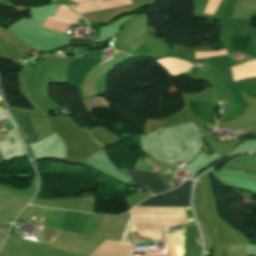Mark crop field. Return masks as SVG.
<instances>
[{"label": "crop field", "instance_id": "crop-field-1", "mask_svg": "<svg viewBox=\"0 0 256 256\" xmlns=\"http://www.w3.org/2000/svg\"><path fill=\"white\" fill-rule=\"evenodd\" d=\"M130 212L138 233L150 240H163L166 226L188 223L186 208L135 207Z\"/></svg>", "mask_w": 256, "mask_h": 256}, {"label": "crop field", "instance_id": "crop-field-2", "mask_svg": "<svg viewBox=\"0 0 256 256\" xmlns=\"http://www.w3.org/2000/svg\"><path fill=\"white\" fill-rule=\"evenodd\" d=\"M192 181H186L177 189L153 196L137 206H179L190 207L189 195Z\"/></svg>", "mask_w": 256, "mask_h": 256}, {"label": "crop field", "instance_id": "crop-field-3", "mask_svg": "<svg viewBox=\"0 0 256 256\" xmlns=\"http://www.w3.org/2000/svg\"><path fill=\"white\" fill-rule=\"evenodd\" d=\"M79 17L68 7L60 5L52 18L47 17L42 27L65 33L70 23L76 24Z\"/></svg>", "mask_w": 256, "mask_h": 256}, {"label": "crop field", "instance_id": "crop-field-4", "mask_svg": "<svg viewBox=\"0 0 256 256\" xmlns=\"http://www.w3.org/2000/svg\"><path fill=\"white\" fill-rule=\"evenodd\" d=\"M128 176L133 181L134 185L144 187L150 190L152 193L157 194L160 192L167 191L157 174H149L137 171H126ZM149 191V192H150Z\"/></svg>", "mask_w": 256, "mask_h": 256}, {"label": "crop field", "instance_id": "crop-field-5", "mask_svg": "<svg viewBox=\"0 0 256 256\" xmlns=\"http://www.w3.org/2000/svg\"><path fill=\"white\" fill-rule=\"evenodd\" d=\"M209 74H211L215 79H217L225 88L227 93L229 94L234 107L231 115H238L241 116L244 112V102L241 99L240 95V89H238L236 86L232 85L231 82L225 78L221 73L217 72L215 69L212 67L205 70Z\"/></svg>", "mask_w": 256, "mask_h": 256}, {"label": "crop field", "instance_id": "crop-field-6", "mask_svg": "<svg viewBox=\"0 0 256 256\" xmlns=\"http://www.w3.org/2000/svg\"><path fill=\"white\" fill-rule=\"evenodd\" d=\"M132 244L105 240L89 256H130Z\"/></svg>", "mask_w": 256, "mask_h": 256}, {"label": "crop field", "instance_id": "crop-field-7", "mask_svg": "<svg viewBox=\"0 0 256 256\" xmlns=\"http://www.w3.org/2000/svg\"><path fill=\"white\" fill-rule=\"evenodd\" d=\"M191 111V113L195 116V118L198 121H204L206 123L212 125L213 120V126H216L217 121L214 115L215 106L219 105V102H211V108H212V120H211V108H210V102H206L207 105V113H208V121H207V113H206V105L205 102H195V103H186Z\"/></svg>", "mask_w": 256, "mask_h": 256}, {"label": "crop field", "instance_id": "crop-field-8", "mask_svg": "<svg viewBox=\"0 0 256 256\" xmlns=\"http://www.w3.org/2000/svg\"><path fill=\"white\" fill-rule=\"evenodd\" d=\"M95 62L91 59H81L72 61L67 72V81L76 86L80 82L82 76L90 68V66Z\"/></svg>", "mask_w": 256, "mask_h": 256}, {"label": "crop field", "instance_id": "crop-field-9", "mask_svg": "<svg viewBox=\"0 0 256 256\" xmlns=\"http://www.w3.org/2000/svg\"><path fill=\"white\" fill-rule=\"evenodd\" d=\"M232 48L253 55L250 29L233 28Z\"/></svg>", "mask_w": 256, "mask_h": 256}, {"label": "crop field", "instance_id": "crop-field-10", "mask_svg": "<svg viewBox=\"0 0 256 256\" xmlns=\"http://www.w3.org/2000/svg\"><path fill=\"white\" fill-rule=\"evenodd\" d=\"M132 4L130 0H106L94 4L84 5V6H75L73 9L79 14L93 12L103 9H109L119 6H125Z\"/></svg>", "mask_w": 256, "mask_h": 256}, {"label": "crop field", "instance_id": "crop-field-11", "mask_svg": "<svg viewBox=\"0 0 256 256\" xmlns=\"http://www.w3.org/2000/svg\"><path fill=\"white\" fill-rule=\"evenodd\" d=\"M16 119L18 121V124L23 133L26 143L28 144V143L37 141L38 139L35 135V132L33 130V127L30 123L28 116L25 115V116L17 117Z\"/></svg>", "mask_w": 256, "mask_h": 256}, {"label": "crop field", "instance_id": "crop-field-12", "mask_svg": "<svg viewBox=\"0 0 256 256\" xmlns=\"http://www.w3.org/2000/svg\"><path fill=\"white\" fill-rule=\"evenodd\" d=\"M166 242L168 246V253L164 254V256H177L173 241V233L165 234Z\"/></svg>", "mask_w": 256, "mask_h": 256}, {"label": "crop field", "instance_id": "crop-field-13", "mask_svg": "<svg viewBox=\"0 0 256 256\" xmlns=\"http://www.w3.org/2000/svg\"><path fill=\"white\" fill-rule=\"evenodd\" d=\"M79 4H83V3H88V2H92V1H96V0H73Z\"/></svg>", "mask_w": 256, "mask_h": 256}, {"label": "crop field", "instance_id": "crop-field-14", "mask_svg": "<svg viewBox=\"0 0 256 256\" xmlns=\"http://www.w3.org/2000/svg\"><path fill=\"white\" fill-rule=\"evenodd\" d=\"M157 256H163V255H157Z\"/></svg>", "mask_w": 256, "mask_h": 256}, {"label": "crop field", "instance_id": "crop-field-15", "mask_svg": "<svg viewBox=\"0 0 256 256\" xmlns=\"http://www.w3.org/2000/svg\"><path fill=\"white\" fill-rule=\"evenodd\" d=\"M102 63H104V62H102ZM102 63H101V64H102Z\"/></svg>", "mask_w": 256, "mask_h": 256}, {"label": "crop field", "instance_id": "crop-field-16", "mask_svg": "<svg viewBox=\"0 0 256 256\" xmlns=\"http://www.w3.org/2000/svg\"><path fill=\"white\" fill-rule=\"evenodd\" d=\"M43 226H44V225H43ZM43 226H42V227H43Z\"/></svg>", "mask_w": 256, "mask_h": 256}]
</instances>
